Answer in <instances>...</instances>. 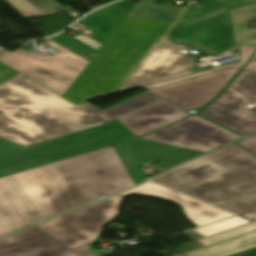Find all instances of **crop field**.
<instances>
[{
	"label": "crop field",
	"instance_id": "obj_21",
	"mask_svg": "<svg viewBox=\"0 0 256 256\" xmlns=\"http://www.w3.org/2000/svg\"><path fill=\"white\" fill-rule=\"evenodd\" d=\"M159 99V97H157L156 95L152 94L151 92L147 91L143 94H140L138 96H135L131 99H128L126 101H123L119 104H116L114 106H111L107 109L102 110L103 112H105L106 114H108L109 116L115 118L119 115H122L126 112H129L133 109H136L138 107H141L145 104H148L152 101H155Z\"/></svg>",
	"mask_w": 256,
	"mask_h": 256
},
{
	"label": "crop field",
	"instance_id": "obj_15",
	"mask_svg": "<svg viewBox=\"0 0 256 256\" xmlns=\"http://www.w3.org/2000/svg\"><path fill=\"white\" fill-rule=\"evenodd\" d=\"M253 247H256V231L180 256H228Z\"/></svg>",
	"mask_w": 256,
	"mask_h": 256
},
{
	"label": "crop field",
	"instance_id": "obj_18",
	"mask_svg": "<svg viewBox=\"0 0 256 256\" xmlns=\"http://www.w3.org/2000/svg\"><path fill=\"white\" fill-rule=\"evenodd\" d=\"M26 18L47 16L62 11L63 7L55 0H7Z\"/></svg>",
	"mask_w": 256,
	"mask_h": 256
},
{
	"label": "crop field",
	"instance_id": "obj_31",
	"mask_svg": "<svg viewBox=\"0 0 256 256\" xmlns=\"http://www.w3.org/2000/svg\"><path fill=\"white\" fill-rule=\"evenodd\" d=\"M88 256H93V255H88Z\"/></svg>",
	"mask_w": 256,
	"mask_h": 256
},
{
	"label": "crop field",
	"instance_id": "obj_1",
	"mask_svg": "<svg viewBox=\"0 0 256 256\" xmlns=\"http://www.w3.org/2000/svg\"><path fill=\"white\" fill-rule=\"evenodd\" d=\"M132 186L113 146L0 178V236Z\"/></svg>",
	"mask_w": 256,
	"mask_h": 256
},
{
	"label": "crop field",
	"instance_id": "obj_13",
	"mask_svg": "<svg viewBox=\"0 0 256 256\" xmlns=\"http://www.w3.org/2000/svg\"><path fill=\"white\" fill-rule=\"evenodd\" d=\"M129 194L154 196L175 202L182 207L188 220L195 224L197 227L232 216L231 214L226 213L222 210L214 208L210 205H207L198 200H195L163 186L157 185L150 181L142 184L135 189L124 192L119 196L123 197Z\"/></svg>",
	"mask_w": 256,
	"mask_h": 256
},
{
	"label": "crop field",
	"instance_id": "obj_25",
	"mask_svg": "<svg viewBox=\"0 0 256 256\" xmlns=\"http://www.w3.org/2000/svg\"><path fill=\"white\" fill-rule=\"evenodd\" d=\"M197 1H199L204 6V8L194 10L191 7H187L186 11L181 16V18L190 20L192 18H195L197 16H200L202 14H205L207 12H210L212 10L222 7L221 5L214 2L213 0H197Z\"/></svg>",
	"mask_w": 256,
	"mask_h": 256
},
{
	"label": "crop field",
	"instance_id": "obj_20",
	"mask_svg": "<svg viewBox=\"0 0 256 256\" xmlns=\"http://www.w3.org/2000/svg\"><path fill=\"white\" fill-rule=\"evenodd\" d=\"M255 49H256V47H241L240 51H241L242 61L227 64V65L212 68V69H208V70L201 71V72H198V73H195V74H192V75H188V76H183V77H179V78H174V79L161 81V82H158V83L143 86V88L146 90V89H149V88H153V87H157V86H161V85H165V84H169V83H173V82H178V81L198 77V76H201V75L216 72V71L223 70V69H226V68H232V69L240 70L243 67V65L248 61V59L251 57V55L253 54Z\"/></svg>",
	"mask_w": 256,
	"mask_h": 256
},
{
	"label": "crop field",
	"instance_id": "obj_9",
	"mask_svg": "<svg viewBox=\"0 0 256 256\" xmlns=\"http://www.w3.org/2000/svg\"><path fill=\"white\" fill-rule=\"evenodd\" d=\"M239 137L195 116L141 137L143 140L207 152Z\"/></svg>",
	"mask_w": 256,
	"mask_h": 256
},
{
	"label": "crop field",
	"instance_id": "obj_8",
	"mask_svg": "<svg viewBox=\"0 0 256 256\" xmlns=\"http://www.w3.org/2000/svg\"><path fill=\"white\" fill-rule=\"evenodd\" d=\"M167 39L175 44L197 43L210 52L236 44L230 13L224 7L190 21L179 18Z\"/></svg>",
	"mask_w": 256,
	"mask_h": 256
},
{
	"label": "crop field",
	"instance_id": "obj_7",
	"mask_svg": "<svg viewBox=\"0 0 256 256\" xmlns=\"http://www.w3.org/2000/svg\"><path fill=\"white\" fill-rule=\"evenodd\" d=\"M256 100V73L242 71L224 94L202 109L200 115L244 136L256 129V114L244 105Z\"/></svg>",
	"mask_w": 256,
	"mask_h": 256
},
{
	"label": "crop field",
	"instance_id": "obj_12",
	"mask_svg": "<svg viewBox=\"0 0 256 256\" xmlns=\"http://www.w3.org/2000/svg\"><path fill=\"white\" fill-rule=\"evenodd\" d=\"M87 253V245L70 250L34 226L0 239V256H81Z\"/></svg>",
	"mask_w": 256,
	"mask_h": 256
},
{
	"label": "crop field",
	"instance_id": "obj_6",
	"mask_svg": "<svg viewBox=\"0 0 256 256\" xmlns=\"http://www.w3.org/2000/svg\"><path fill=\"white\" fill-rule=\"evenodd\" d=\"M123 198L115 195L54 217L35 225L70 249L88 244L96 239L107 222L116 218Z\"/></svg>",
	"mask_w": 256,
	"mask_h": 256
},
{
	"label": "crop field",
	"instance_id": "obj_16",
	"mask_svg": "<svg viewBox=\"0 0 256 256\" xmlns=\"http://www.w3.org/2000/svg\"><path fill=\"white\" fill-rule=\"evenodd\" d=\"M155 0H141L128 18L174 21L185 8L164 4L160 7Z\"/></svg>",
	"mask_w": 256,
	"mask_h": 256
},
{
	"label": "crop field",
	"instance_id": "obj_26",
	"mask_svg": "<svg viewBox=\"0 0 256 256\" xmlns=\"http://www.w3.org/2000/svg\"><path fill=\"white\" fill-rule=\"evenodd\" d=\"M228 9L255 4L256 0H214Z\"/></svg>",
	"mask_w": 256,
	"mask_h": 256
},
{
	"label": "crop field",
	"instance_id": "obj_3",
	"mask_svg": "<svg viewBox=\"0 0 256 256\" xmlns=\"http://www.w3.org/2000/svg\"><path fill=\"white\" fill-rule=\"evenodd\" d=\"M151 180L210 202L256 190V157L232 144Z\"/></svg>",
	"mask_w": 256,
	"mask_h": 256
},
{
	"label": "crop field",
	"instance_id": "obj_5",
	"mask_svg": "<svg viewBox=\"0 0 256 256\" xmlns=\"http://www.w3.org/2000/svg\"><path fill=\"white\" fill-rule=\"evenodd\" d=\"M45 41L59 52L46 58L22 48L12 53L1 49L0 61L62 96L89 61L49 39Z\"/></svg>",
	"mask_w": 256,
	"mask_h": 256
},
{
	"label": "crop field",
	"instance_id": "obj_32",
	"mask_svg": "<svg viewBox=\"0 0 256 256\" xmlns=\"http://www.w3.org/2000/svg\"><path fill=\"white\" fill-rule=\"evenodd\" d=\"M254 223H256V221Z\"/></svg>",
	"mask_w": 256,
	"mask_h": 256
},
{
	"label": "crop field",
	"instance_id": "obj_19",
	"mask_svg": "<svg viewBox=\"0 0 256 256\" xmlns=\"http://www.w3.org/2000/svg\"><path fill=\"white\" fill-rule=\"evenodd\" d=\"M253 222L256 220V193L212 203Z\"/></svg>",
	"mask_w": 256,
	"mask_h": 256
},
{
	"label": "crop field",
	"instance_id": "obj_14",
	"mask_svg": "<svg viewBox=\"0 0 256 256\" xmlns=\"http://www.w3.org/2000/svg\"><path fill=\"white\" fill-rule=\"evenodd\" d=\"M188 115L164 100H160L126 114L118 118V121L137 137Z\"/></svg>",
	"mask_w": 256,
	"mask_h": 256
},
{
	"label": "crop field",
	"instance_id": "obj_24",
	"mask_svg": "<svg viewBox=\"0 0 256 256\" xmlns=\"http://www.w3.org/2000/svg\"><path fill=\"white\" fill-rule=\"evenodd\" d=\"M246 223H250V222L236 216L218 223H214V224L199 228L194 231L207 237V236H210V235H213V234H216V233H219V232H222Z\"/></svg>",
	"mask_w": 256,
	"mask_h": 256
},
{
	"label": "crop field",
	"instance_id": "obj_22",
	"mask_svg": "<svg viewBox=\"0 0 256 256\" xmlns=\"http://www.w3.org/2000/svg\"><path fill=\"white\" fill-rule=\"evenodd\" d=\"M114 148L118 153L120 159L122 160L129 175L131 176L132 180L134 181L135 185L146 180L127 143L115 145Z\"/></svg>",
	"mask_w": 256,
	"mask_h": 256
},
{
	"label": "crop field",
	"instance_id": "obj_17",
	"mask_svg": "<svg viewBox=\"0 0 256 256\" xmlns=\"http://www.w3.org/2000/svg\"><path fill=\"white\" fill-rule=\"evenodd\" d=\"M237 45L256 44V32L247 33L244 20L256 19V4L230 10Z\"/></svg>",
	"mask_w": 256,
	"mask_h": 256
},
{
	"label": "crop field",
	"instance_id": "obj_28",
	"mask_svg": "<svg viewBox=\"0 0 256 256\" xmlns=\"http://www.w3.org/2000/svg\"><path fill=\"white\" fill-rule=\"evenodd\" d=\"M18 148H22V147L0 138V153L18 149Z\"/></svg>",
	"mask_w": 256,
	"mask_h": 256
},
{
	"label": "crop field",
	"instance_id": "obj_10",
	"mask_svg": "<svg viewBox=\"0 0 256 256\" xmlns=\"http://www.w3.org/2000/svg\"><path fill=\"white\" fill-rule=\"evenodd\" d=\"M180 50L160 38L118 92L190 74L195 61Z\"/></svg>",
	"mask_w": 256,
	"mask_h": 256
},
{
	"label": "crop field",
	"instance_id": "obj_2",
	"mask_svg": "<svg viewBox=\"0 0 256 256\" xmlns=\"http://www.w3.org/2000/svg\"><path fill=\"white\" fill-rule=\"evenodd\" d=\"M0 137L22 147L115 121L85 103L74 106L17 75L0 84Z\"/></svg>",
	"mask_w": 256,
	"mask_h": 256
},
{
	"label": "crop field",
	"instance_id": "obj_11",
	"mask_svg": "<svg viewBox=\"0 0 256 256\" xmlns=\"http://www.w3.org/2000/svg\"><path fill=\"white\" fill-rule=\"evenodd\" d=\"M236 72L237 70L226 69L149 91L187 110L200 107L216 96Z\"/></svg>",
	"mask_w": 256,
	"mask_h": 256
},
{
	"label": "crop field",
	"instance_id": "obj_29",
	"mask_svg": "<svg viewBox=\"0 0 256 256\" xmlns=\"http://www.w3.org/2000/svg\"><path fill=\"white\" fill-rule=\"evenodd\" d=\"M231 256H256V248L250 249V250H246Z\"/></svg>",
	"mask_w": 256,
	"mask_h": 256
},
{
	"label": "crop field",
	"instance_id": "obj_27",
	"mask_svg": "<svg viewBox=\"0 0 256 256\" xmlns=\"http://www.w3.org/2000/svg\"><path fill=\"white\" fill-rule=\"evenodd\" d=\"M239 144L256 153V134L248 137L246 140L239 142Z\"/></svg>",
	"mask_w": 256,
	"mask_h": 256
},
{
	"label": "crop field",
	"instance_id": "obj_30",
	"mask_svg": "<svg viewBox=\"0 0 256 256\" xmlns=\"http://www.w3.org/2000/svg\"><path fill=\"white\" fill-rule=\"evenodd\" d=\"M244 70L256 72V56L252 59V61L246 66Z\"/></svg>",
	"mask_w": 256,
	"mask_h": 256
},
{
	"label": "crop field",
	"instance_id": "obj_4",
	"mask_svg": "<svg viewBox=\"0 0 256 256\" xmlns=\"http://www.w3.org/2000/svg\"><path fill=\"white\" fill-rule=\"evenodd\" d=\"M135 138L118 121L0 154V177Z\"/></svg>",
	"mask_w": 256,
	"mask_h": 256
},
{
	"label": "crop field",
	"instance_id": "obj_23",
	"mask_svg": "<svg viewBox=\"0 0 256 256\" xmlns=\"http://www.w3.org/2000/svg\"><path fill=\"white\" fill-rule=\"evenodd\" d=\"M256 230V224L254 223H250V224H246L201 240H198V242H200L202 245L206 246V245H210L213 243H217L223 240H227L236 236H240L252 231Z\"/></svg>",
	"mask_w": 256,
	"mask_h": 256
}]
</instances>
